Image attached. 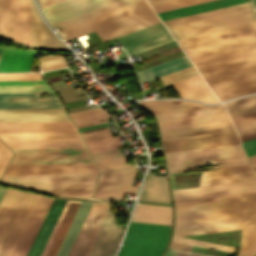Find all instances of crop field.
Listing matches in <instances>:
<instances>
[{
  "label": "crop field",
  "instance_id": "obj_60",
  "mask_svg": "<svg viewBox=\"0 0 256 256\" xmlns=\"http://www.w3.org/2000/svg\"><path fill=\"white\" fill-rule=\"evenodd\" d=\"M46 84L45 80L0 81V85Z\"/></svg>",
  "mask_w": 256,
  "mask_h": 256
},
{
  "label": "crop field",
  "instance_id": "obj_43",
  "mask_svg": "<svg viewBox=\"0 0 256 256\" xmlns=\"http://www.w3.org/2000/svg\"><path fill=\"white\" fill-rule=\"evenodd\" d=\"M227 112L225 107L156 115L158 120Z\"/></svg>",
  "mask_w": 256,
  "mask_h": 256
},
{
  "label": "crop field",
  "instance_id": "obj_32",
  "mask_svg": "<svg viewBox=\"0 0 256 256\" xmlns=\"http://www.w3.org/2000/svg\"><path fill=\"white\" fill-rule=\"evenodd\" d=\"M9 148L85 146L81 138L3 140Z\"/></svg>",
  "mask_w": 256,
  "mask_h": 256
},
{
  "label": "crop field",
  "instance_id": "obj_12",
  "mask_svg": "<svg viewBox=\"0 0 256 256\" xmlns=\"http://www.w3.org/2000/svg\"><path fill=\"white\" fill-rule=\"evenodd\" d=\"M120 1L123 0H63L43 7V10L55 25Z\"/></svg>",
  "mask_w": 256,
  "mask_h": 256
},
{
  "label": "crop field",
  "instance_id": "obj_49",
  "mask_svg": "<svg viewBox=\"0 0 256 256\" xmlns=\"http://www.w3.org/2000/svg\"><path fill=\"white\" fill-rule=\"evenodd\" d=\"M119 137H122V136H119ZM119 143L120 142L118 137H114V138H108V139H103L98 141L87 142L86 145L90 153H93L101 150L118 147L117 144Z\"/></svg>",
  "mask_w": 256,
  "mask_h": 256
},
{
  "label": "crop field",
  "instance_id": "obj_33",
  "mask_svg": "<svg viewBox=\"0 0 256 256\" xmlns=\"http://www.w3.org/2000/svg\"><path fill=\"white\" fill-rule=\"evenodd\" d=\"M139 200L170 203L165 177L148 174L147 181Z\"/></svg>",
  "mask_w": 256,
  "mask_h": 256
},
{
  "label": "crop field",
  "instance_id": "obj_11",
  "mask_svg": "<svg viewBox=\"0 0 256 256\" xmlns=\"http://www.w3.org/2000/svg\"><path fill=\"white\" fill-rule=\"evenodd\" d=\"M152 11L145 0L61 29L65 41Z\"/></svg>",
  "mask_w": 256,
  "mask_h": 256
},
{
  "label": "crop field",
  "instance_id": "obj_37",
  "mask_svg": "<svg viewBox=\"0 0 256 256\" xmlns=\"http://www.w3.org/2000/svg\"><path fill=\"white\" fill-rule=\"evenodd\" d=\"M253 227H256V220L179 228V229H175L174 234L185 236V235L237 230V229H245V228H253Z\"/></svg>",
  "mask_w": 256,
  "mask_h": 256
},
{
  "label": "crop field",
  "instance_id": "obj_39",
  "mask_svg": "<svg viewBox=\"0 0 256 256\" xmlns=\"http://www.w3.org/2000/svg\"><path fill=\"white\" fill-rule=\"evenodd\" d=\"M0 37L15 41L14 0H0Z\"/></svg>",
  "mask_w": 256,
  "mask_h": 256
},
{
  "label": "crop field",
  "instance_id": "obj_23",
  "mask_svg": "<svg viewBox=\"0 0 256 256\" xmlns=\"http://www.w3.org/2000/svg\"><path fill=\"white\" fill-rule=\"evenodd\" d=\"M255 179L249 165L203 171L200 186Z\"/></svg>",
  "mask_w": 256,
  "mask_h": 256
},
{
  "label": "crop field",
  "instance_id": "obj_22",
  "mask_svg": "<svg viewBox=\"0 0 256 256\" xmlns=\"http://www.w3.org/2000/svg\"><path fill=\"white\" fill-rule=\"evenodd\" d=\"M78 132L72 122L0 123V133Z\"/></svg>",
  "mask_w": 256,
  "mask_h": 256
},
{
  "label": "crop field",
  "instance_id": "obj_2",
  "mask_svg": "<svg viewBox=\"0 0 256 256\" xmlns=\"http://www.w3.org/2000/svg\"><path fill=\"white\" fill-rule=\"evenodd\" d=\"M109 201L94 202L68 256H112L122 231Z\"/></svg>",
  "mask_w": 256,
  "mask_h": 256
},
{
  "label": "crop field",
  "instance_id": "obj_8",
  "mask_svg": "<svg viewBox=\"0 0 256 256\" xmlns=\"http://www.w3.org/2000/svg\"><path fill=\"white\" fill-rule=\"evenodd\" d=\"M36 196L6 190L0 202V256H8Z\"/></svg>",
  "mask_w": 256,
  "mask_h": 256
},
{
  "label": "crop field",
  "instance_id": "obj_5",
  "mask_svg": "<svg viewBox=\"0 0 256 256\" xmlns=\"http://www.w3.org/2000/svg\"><path fill=\"white\" fill-rule=\"evenodd\" d=\"M220 101L256 92V56L199 68Z\"/></svg>",
  "mask_w": 256,
  "mask_h": 256
},
{
  "label": "crop field",
  "instance_id": "obj_42",
  "mask_svg": "<svg viewBox=\"0 0 256 256\" xmlns=\"http://www.w3.org/2000/svg\"><path fill=\"white\" fill-rule=\"evenodd\" d=\"M69 115L75 125L110 118L104 111L99 108L70 113Z\"/></svg>",
  "mask_w": 256,
  "mask_h": 256
},
{
  "label": "crop field",
  "instance_id": "obj_47",
  "mask_svg": "<svg viewBox=\"0 0 256 256\" xmlns=\"http://www.w3.org/2000/svg\"><path fill=\"white\" fill-rule=\"evenodd\" d=\"M129 160L128 156L119 157L114 159H108L103 161L95 162L99 171L103 172L106 170L130 167L132 164L126 165V161Z\"/></svg>",
  "mask_w": 256,
  "mask_h": 256
},
{
  "label": "crop field",
  "instance_id": "obj_66",
  "mask_svg": "<svg viewBox=\"0 0 256 256\" xmlns=\"http://www.w3.org/2000/svg\"><path fill=\"white\" fill-rule=\"evenodd\" d=\"M244 147H250V146H254L256 145V138L255 139H251V140H247V141H243L242 142Z\"/></svg>",
  "mask_w": 256,
  "mask_h": 256
},
{
  "label": "crop field",
  "instance_id": "obj_55",
  "mask_svg": "<svg viewBox=\"0 0 256 256\" xmlns=\"http://www.w3.org/2000/svg\"><path fill=\"white\" fill-rule=\"evenodd\" d=\"M40 75L42 74H37V73L0 74V80L42 79Z\"/></svg>",
  "mask_w": 256,
  "mask_h": 256
},
{
  "label": "crop field",
  "instance_id": "obj_63",
  "mask_svg": "<svg viewBox=\"0 0 256 256\" xmlns=\"http://www.w3.org/2000/svg\"><path fill=\"white\" fill-rule=\"evenodd\" d=\"M252 111H256V105L238 109V110H234V111H230L229 113H230V116L232 117V116H236V115H240V114H244V113H248V112H252Z\"/></svg>",
  "mask_w": 256,
  "mask_h": 256
},
{
  "label": "crop field",
  "instance_id": "obj_36",
  "mask_svg": "<svg viewBox=\"0 0 256 256\" xmlns=\"http://www.w3.org/2000/svg\"><path fill=\"white\" fill-rule=\"evenodd\" d=\"M93 202L82 201L56 256H67Z\"/></svg>",
  "mask_w": 256,
  "mask_h": 256
},
{
  "label": "crop field",
  "instance_id": "obj_6",
  "mask_svg": "<svg viewBox=\"0 0 256 256\" xmlns=\"http://www.w3.org/2000/svg\"><path fill=\"white\" fill-rule=\"evenodd\" d=\"M170 173L249 164L240 144L166 153ZM223 163L207 168L196 166Z\"/></svg>",
  "mask_w": 256,
  "mask_h": 256
},
{
  "label": "crop field",
  "instance_id": "obj_30",
  "mask_svg": "<svg viewBox=\"0 0 256 256\" xmlns=\"http://www.w3.org/2000/svg\"><path fill=\"white\" fill-rule=\"evenodd\" d=\"M140 103L151 109L154 114L224 106H207L182 100H147Z\"/></svg>",
  "mask_w": 256,
  "mask_h": 256
},
{
  "label": "crop field",
  "instance_id": "obj_56",
  "mask_svg": "<svg viewBox=\"0 0 256 256\" xmlns=\"http://www.w3.org/2000/svg\"><path fill=\"white\" fill-rule=\"evenodd\" d=\"M234 126H240L256 121V112L231 118Z\"/></svg>",
  "mask_w": 256,
  "mask_h": 256
},
{
  "label": "crop field",
  "instance_id": "obj_50",
  "mask_svg": "<svg viewBox=\"0 0 256 256\" xmlns=\"http://www.w3.org/2000/svg\"><path fill=\"white\" fill-rule=\"evenodd\" d=\"M43 71L68 66L62 56H43L39 59Z\"/></svg>",
  "mask_w": 256,
  "mask_h": 256
},
{
  "label": "crop field",
  "instance_id": "obj_18",
  "mask_svg": "<svg viewBox=\"0 0 256 256\" xmlns=\"http://www.w3.org/2000/svg\"><path fill=\"white\" fill-rule=\"evenodd\" d=\"M165 152L240 143L236 134H222L163 141Z\"/></svg>",
  "mask_w": 256,
  "mask_h": 256
},
{
  "label": "crop field",
  "instance_id": "obj_31",
  "mask_svg": "<svg viewBox=\"0 0 256 256\" xmlns=\"http://www.w3.org/2000/svg\"><path fill=\"white\" fill-rule=\"evenodd\" d=\"M188 66H191V63L188 61L185 55H183L172 60L137 71L136 73L140 79V82L142 83Z\"/></svg>",
  "mask_w": 256,
  "mask_h": 256
},
{
  "label": "crop field",
  "instance_id": "obj_4",
  "mask_svg": "<svg viewBox=\"0 0 256 256\" xmlns=\"http://www.w3.org/2000/svg\"><path fill=\"white\" fill-rule=\"evenodd\" d=\"M52 200L37 196L9 256H26ZM66 201L53 200L27 256H40Z\"/></svg>",
  "mask_w": 256,
  "mask_h": 256
},
{
  "label": "crop field",
  "instance_id": "obj_27",
  "mask_svg": "<svg viewBox=\"0 0 256 256\" xmlns=\"http://www.w3.org/2000/svg\"><path fill=\"white\" fill-rule=\"evenodd\" d=\"M156 22H159V19L157 18L154 11H152L144 15L96 31V33L103 41H105L113 37L131 32L133 30L151 25Z\"/></svg>",
  "mask_w": 256,
  "mask_h": 256
},
{
  "label": "crop field",
  "instance_id": "obj_19",
  "mask_svg": "<svg viewBox=\"0 0 256 256\" xmlns=\"http://www.w3.org/2000/svg\"><path fill=\"white\" fill-rule=\"evenodd\" d=\"M98 172L94 163L9 165L5 174Z\"/></svg>",
  "mask_w": 256,
  "mask_h": 256
},
{
  "label": "crop field",
  "instance_id": "obj_53",
  "mask_svg": "<svg viewBox=\"0 0 256 256\" xmlns=\"http://www.w3.org/2000/svg\"><path fill=\"white\" fill-rule=\"evenodd\" d=\"M53 91L49 85L0 86V92Z\"/></svg>",
  "mask_w": 256,
  "mask_h": 256
},
{
  "label": "crop field",
  "instance_id": "obj_26",
  "mask_svg": "<svg viewBox=\"0 0 256 256\" xmlns=\"http://www.w3.org/2000/svg\"><path fill=\"white\" fill-rule=\"evenodd\" d=\"M96 183L80 184H47V185H14L22 188H32L54 195L91 198Z\"/></svg>",
  "mask_w": 256,
  "mask_h": 256
},
{
  "label": "crop field",
  "instance_id": "obj_13",
  "mask_svg": "<svg viewBox=\"0 0 256 256\" xmlns=\"http://www.w3.org/2000/svg\"><path fill=\"white\" fill-rule=\"evenodd\" d=\"M128 55L141 52L162 43L173 40L161 22L117 37Z\"/></svg>",
  "mask_w": 256,
  "mask_h": 256
},
{
  "label": "crop field",
  "instance_id": "obj_65",
  "mask_svg": "<svg viewBox=\"0 0 256 256\" xmlns=\"http://www.w3.org/2000/svg\"><path fill=\"white\" fill-rule=\"evenodd\" d=\"M239 137H240L241 141L251 139V138H255L256 137V132L240 135Z\"/></svg>",
  "mask_w": 256,
  "mask_h": 256
},
{
  "label": "crop field",
  "instance_id": "obj_52",
  "mask_svg": "<svg viewBox=\"0 0 256 256\" xmlns=\"http://www.w3.org/2000/svg\"><path fill=\"white\" fill-rule=\"evenodd\" d=\"M139 185L97 192L93 198H121L124 192L136 194Z\"/></svg>",
  "mask_w": 256,
  "mask_h": 256
},
{
  "label": "crop field",
  "instance_id": "obj_75",
  "mask_svg": "<svg viewBox=\"0 0 256 256\" xmlns=\"http://www.w3.org/2000/svg\"><path fill=\"white\" fill-rule=\"evenodd\" d=\"M254 6L256 7V4H254Z\"/></svg>",
  "mask_w": 256,
  "mask_h": 256
},
{
  "label": "crop field",
  "instance_id": "obj_62",
  "mask_svg": "<svg viewBox=\"0 0 256 256\" xmlns=\"http://www.w3.org/2000/svg\"><path fill=\"white\" fill-rule=\"evenodd\" d=\"M236 131H237L238 135L256 131V122L252 123V124L236 127Z\"/></svg>",
  "mask_w": 256,
  "mask_h": 256
},
{
  "label": "crop field",
  "instance_id": "obj_57",
  "mask_svg": "<svg viewBox=\"0 0 256 256\" xmlns=\"http://www.w3.org/2000/svg\"><path fill=\"white\" fill-rule=\"evenodd\" d=\"M11 155V151L0 141V175L4 170L7 162L9 161Z\"/></svg>",
  "mask_w": 256,
  "mask_h": 256
},
{
  "label": "crop field",
  "instance_id": "obj_9",
  "mask_svg": "<svg viewBox=\"0 0 256 256\" xmlns=\"http://www.w3.org/2000/svg\"><path fill=\"white\" fill-rule=\"evenodd\" d=\"M169 233L166 225L131 222L118 256H160Z\"/></svg>",
  "mask_w": 256,
  "mask_h": 256
},
{
  "label": "crop field",
  "instance_id": "obj_70",
  "mask_svg": "<svg viewBox=\"0 0 256 256\" xmlns=\"http://www.w3.org/2000/svg\"><path fill=\"white\" fill-rule=\"evenodd\" d=\"M248 159H249L253 169L255 170L256 169V156L249 157Z\"/></svg>",
  "mask_w": 256,
  "mask_h": 256
},
{
  "label": "crop field",
  "instance_id": "obj_38",
  "mask_svg": "<svg viewBox=\"0 0 256 256\" xmlns=\"http://www.w3.org/2000/svg\"><path fill=\"white\" fill-rule=\"evenodd\" d=\"M227 121H230V118L227 113H223V114H215V115L163 120L159 122H160V128L165 129V128L200 125V124L227 122Z\"/></svg>",
  "mask_w": 256,
  "mask_h": 256
},
{
  "label": "crop field",
  "instance_id": "obj_3",
  "mask_svg": "<svg viewBox=\"0 0 256 256\" xmlns=\"http://www.w3.org/2000/svg\"><path fill=\"white\" fill-rule=\"evenodd\" d=\"M165 21V20H164ZM256 21L252 1L165 21L176 40Z\"/></svg>",
  "mask_w": 256,
  "mask_h": 256
},
{
  "label": "crop field",
  "instance_id": "obj_14",
  "mask_svg": "<svg viewBox=\"0 0 256 256\" xmlns=\"http://www.w3.org/2000/svg\"><path fill=\"white\" fill-rule=\"evenodd\" d=\"M99 173L3 175L4 184L96 182Z\"/></svg>",
  "mask_w": 256,
  "mask_h": 256
},
{
  "label": "crop field",
  "instance_id": "obj_24",
  "mask_svg": "<svg viewBox=\"0 0 256 256\" xmlns=\"http://www.w3.org/2000/svg\"><path fill=\"white\" fill-rule=\"evenodd\" d=\"M163 140L235 132L231 122L161 130Z\"/></svg>",
  "mask_w": 256,
  "mask_h": 256
},
{
  "label": "crop field",
  "instance_id": "obj_1",
  "mask_svg": "<svg viewBox=\"0 0 256 256\" xmlns=\"http://www.w3.org/2000/svg\"><path fill=\"white\" fill-rule=\"evenodd\" d=\"M236 197L245 217H256V194ZM236 197L230 194L175 201V228L245 220Z\"/></svg>",
  "mask_w": 256,
  "mask_h": 256
},
{
  "label": "crop field",
  "instance_id": "obj_61",
  "mask_svg": "<svg viewBox=\"0 0 256 256\" xmlns=\"http://www.w3.org/2000/svg\"><path fill=\"white\" fill-rule=\"evenodd\" d=\"M166 256H208V255L197 254V253L169 248Z\"/></svg>",
  "mask_w": 256,
  "mask_h": 256
},
{
  "label": "crop field",
  "instance_id": "obj_76",
  "mask_svg": "<svg viewBox=\"0 0 256 256\" xmlns=\"http://www.w3.org/2000/svg\"><path fill=\"white\" fill-rule=\"evenodd\" d=\"M254 172H255V174H256V170H255Z\"/></svg>",
  "mask_w": 256,
  "mask_h": 256
},
{
  "label": "crop field",
  "instance_id": "obj_10",
  "mask_svg": "<svg viewBox=\"0 0 256 256\" xmlns=\"http://www.w3.org/2000/svg\"><path fill=\"white\" fill-rule=\"evenodd\" d=\"M10 164L93 162L86 147L11 149Z\"/></svg>",
  "mask_w": 256,
  "mask_h": 256
},
{
  "label": "crop field",
  "instance_id": "obj_58",
  "mask_svg": "<svg viewBox=\"0 0 256 256\" xmlns=\"http://www.w3.org/2000/svg\"><path fill=\"white\" fill-rule=\"evenodd\" d=\"M91 155H92L94 161H97V160H102V159L122 156L123 154L116 148V149H112V150H107V151H102V152H98V153H93Z\"/></svg>",
  "mask_w": 256,
  "mask_h": 256
},
{
  "label": "crop field",
  "instance_id": "obj_72",
  "mask_svg": "<svg viewBox=\"0 0 256 256\" xmlns=\"http://www.w3.org/2000/svg\"><path fill=\"white\" fill-rule=\"evenodd\" d=\"M4 188H2V187H0V198H1V196H2V194H3V192H4Z\"/></svg>",
  "mask_w": 256,
  "mask_h": 256
},
{
  "label": "crop field",
  "instance_id": "obj_16",
  "mask_svg": "<svg viewBox=\"0 0 256 256\" xmlns=\"http://www.w3.org/2000/svg\"><path fill=\"white\" fill-rule=\"evenodd\" d=\"M256 191V180L173 190L175 200Z\"/></svg>",
  "mask_w": 256,
  "mask_h": 256
},
{
  "label": "crop field",
  "instance_id": "obj_69",
  "mask_svg": "<svg viewBox=\"0 0 256 256\" xmlns=\"http://www.w3.org/2000/svg\"><path fill=\"white\" fill-rule=\"evenodd\" d=\"M108 121H103V122H92V123H88V124H83V125H78L77 128H80V127H85V126H90V125H96V124H101V123H106Z\"/></svg>",
  "mask_w": 256,
  "mask_h": 256
},
{
  "label": "crop field",
  "instance_id": "obj_54",
  "mask_svg": "<svg viewBox=\"0 0 256 256\" xmlns=\"http://www.w3.org/2000/svg\"><path fill=\"white\" fill-rule=\"evenodd\" d=\"M228 110H234L256 104V94L225 103Z\"/></svg>",
  "mask_w": 256,
  "mask_h": 256
},
{
  "label": "crop field",
  "instance_id": "obj_41",
  "mask_svg": "<svg viewBox=\"0 0 256 256\" xmlns=\"http://www.w3.org/2000/svg\"><path fill=\"white\" fill-rule=\"evenodd\" d=\"M256 254V228L241 230L240 252L238 256Z\"/></svg>",
  "mask_w": 256,
  "mask_h": 256
},
{
  "label": "crop field",
  "instance_id": "obj_28",
  "mask_svg": "<svg viewBox=\"0 0 256 256\" xmlns=\"http://www.w3.org/2000/svg\"><path fill=\"white\" fill-rule=\"evenodd\" d=\"M256 55V44L192 58L196 68Z\"/></svg>",
  "mask_w": 256,
  "mask_h": 256
},
{
  "label": "crop field",
  "instance_id": "obj_74",
  "mask_svg": "<svg viewBox=\"0 0 256 256\" xmlns=\"http://www.w3.org/2000/svg\"><path fill=\"white\" fill-rule=\"evenodd\" d=\"M254 3H256V0H254Z\"/></svg>",
  "mask_w": 256,
  "mask_h": 256
},
{
  "label": "crop field",
  "instance_id": "obj_35",
  "mask_svg": "<svg viewBox=\"0 0 256 256\" xmlns=\"http://www.w3.org/2000/svg\"><path fill=\"white\" fill-rule=\"evenodd\" d=\"M138 167L101 174L96 191L108 190L132 184Z\"/></svg>",
  "mask_w": 256,
  "mask_h": 256
},
{
  "label": "crop field",
  "instance_id": "obj_45",
  "mask_svg": "<svg viewBox=\"0 0 256 256\" xmlns=\"http://www.w3.org/2000/svg\"><path fill=\"white\" fill-rule=\"evenodd\" d=\"M80 137L79 133L0 134L1 139Z\"/></svg>",
  "mask_w": 256,
  "mask_h": 256
},
{
  "label": "crop field",
  "instance_id": "obj_71",
  "mask_svg": "<svg viewBox=\"0 0 256 256\" xmlns=\"http://www.w3.org/2000/svg\"><path fill=\"white\" fill-rule=\"evenodd\" d=\"M166 1H170V0H154V1H150L149 4L153 5V4H157V3H161V2H166Z\"/></svg>",
  "mask_w": 256,
  "mask_h": 256
},
{
  "label": "crop field",
  "instance_id": "obj_20",
  "mask_svg": "<svg viewBox=\"0 0 256 256\" xmlns=\"http://www.w3.org/2000/svg\"><path fill=\"white\" fill-rule=\"evenodd\" d=\"M31 47L45 50H68L45 26L30 0Z\"/></svg>",
  "mask_w": 256,
  "mask_h": 256
},
{
  "label": "crop field",
  "instance_id": "obj_59",
  "mask_svg": "<svg viewBox=\"0 0 256 256\" xmlns=\"http://www.w3.org/2000/svg\"><path fill=\"white\" fill-rule=\"evenodd\" d=\"M111 136H113V135H112L110 129L82 135L85 142L97 140V139H101V138H106V137H111Z\"/></svg>",
  "mask_w": 256,
  "mask_h": 256
},
{
  "label": "crop field",
  "instance_id": "obj_64",
  "mask_svg": "<svg viewBox=\"0 0 256 256\" xmlns=\"http://www.w3.org/2000/svg\"><path fill=\"white\" fill-rule=\"evenodd\" d=\"M172 248H177V249H183V250H188L190 251L192 246L191 245H185V244H180V243H174L172 242L171 246Z\"/></svg>",
  "mask_w": 256,
  "mask_h": 256
},
{
  "label": "crop field",
  "instance_id": "obj_40",
  "mask_svg": "<svg viewBox=\"0 0 256 256\" xmlns=\"http://www.w3.org/2000/svg\"><path fill=\"white\" fill-rule=\"evenodd\" d=\"M250 1V0H247ZM241 2H246L244 0H216V1H211L203 4H198L194 6H189L181 9H176L172 11H167L163 13H159L158 16L161 18V20L168 19V18H173L177 16H182L186 14H191L195 12H200L204 10H209V9H214L218 7H223L227 5H232L236 3H241Z\"/></svg>",
  "mask_w": 256,
  "mask_h": 256
},
{
  "label": "crop field",
  "instance_id": "obj_73",
  "mask_svg": "<svg viewBox=\"0 0 256 256\" xmlns=\"http://www.w3.org/2000/svg\"><path fill=\"white\" fill-rule=\"evenodd\" d=\"M2 48H3V47H0V54H1Z\"/></svg>",
  "mask_w": 256,
  "mask_h": 256
},
{
  "label": "crop field",
  "instance_id": "obj_34",
  "mask_svg": "<svg viewBox=\"0 0 256 256\" xmlns=\"http://www.w3.org/2000/svg\"><path fill=\"white\" fill-rule=\"evenodd\" d=\"M16 41L30 47L29 0H15Z\"/></svg>",
  "mask_w": 256,
  "mask_h": 256
},
{
  "label": "crop field",
  "instance_id": "obj_67",
  "mask_svg": "<svg viewBox=\"0 0 256 256\" xmlns=\"http://www.w3.org/2000/svg\"><path fill=\"white\" fill-rule=\"evenodd\" d=\"M246 153H247V156H253V155H256V146L254 147H250V148H246Z\"/></svg>",
  "mask_w": 256,
  "mask_h": 256
},
{
  "label": "crop field",
  "instance_id": "obj_48",
  "mask_svg": "<svg viewBox=\"0 0 256 256\" xmlns=\"http://www.w3.org/2000/svg\"><path fill=\"white\" fill-rule=\"evenodd\" d=\"M174 242H180V243H186V244H192V245H198V246H204V247H210V248H215L227 252L233 253L235 248L233 247H228L224 245H219V244H214V243H209V242H204L200 240H195V239H190V238H185V237H179L173 235V240Z\"/></svg>",
  "mask_w": 256,
  "mask_h": 256
},
{
  "label": "crop field",
  "instance_id": "obj_7",
  "mask_svg": "<svg viewBox=\"0 0 256 256\" xmlns=\"http://www.w3.org/2000/svg\"><path fill=\"white\" fill-rule=\"evenodd\" d=\"M189 58L256 43V22L179 40Z\"/></svg>",
  "mask_w": 256,
  "mask_h": 256
},
{
  "label": "crop field",
  "instance_id": "obj_21",
  "mask_svg": "<svg viewBox=\"0 0 256 256\" xmlns=\"http://www.w3.org/2000/svg\"><path fill=\"white\" fill-rule=\"evenodd\" d=\"M181 98L195 99L208 103H218V99L199 74L172 83Z\"/></svg>",
  "mask_w": 256,
  "mask_h": 256
},
{
  "label": "crop field",
  "instance_id": "obj_15",
  "mask_svg": "<svg viewBox=\"0 0 256 256\" xmlns=\"http://www.w3.org/2000/svg\"><path fill=\"white\" fill-rule=\"evenodd\" d=\"M43 93L49 92L0 93V109L62 108L57 96L40 98Z\"/></svg>",
  "mask_w": 256,
  "mask_h": 256
},
{
  "label": "crop field",
  "instance_id": "obj_68",
  "mask_svg": "<svg viewBox=\"0 0 256 256\" xmlns=\"http://www.w3.org/2000/svg\"><path fill=\"white\" fill-rule=\"evenodd\" d=\"M40 1V4L41 6H46V5H49L51 3H54V2H57V1H60V0H39Z\"/></svg>",
  "mask_w": 256,
  "mask_h": 256
},
{
  "label": "crop field",
  "instance_id": "obj_17",
  "mask_svg": "<svg viewBox=\"0 0 256 256\" xmlns=\"http://www.w3.org/2000/svg\"><path fill=\"white\" fill-rule=\"evenodd\" d=\"M70 121L64 109L0 110V122Z\"/></svg>",
  "mask_w": 256,
  "mask_h": 256
},
{
  "label": "crop field",
  "instance_id": "obj_44",
  "mask_svg": "<svg viewBox=\"0 0 256 256\" xmlns=\"http://www.w3.org/2000/svg\"><path fill=\"white\" fill-rule=\"evenodd\" d=\"M137 1H140V0H126V1L120 2V3H118V4H115V5L106 7V8H104V9H101V10H98V11H95V12H92V13H90V14H87V15H84V16H81V17H78V18H76V19H73V20L64 22V23L59 24V25H56V26L60 29V28H63V27L72 25V24H74V23H77V22H80V21H83V20L92 18V17H94V16H97V15H100V14H103V13H106V12H109V11H112V10H114V9H117V8H120V7L129 5V4H132V3L137 2Z\"/></svg>",
  "mask_w": 256,
  "mask_h": 256
},
{
  "label": "crop field",
  "instance_id": "obj_51",
  "mask_svg": "<svg viewBox=\"0 0 256 256\" xmlns=\"http://www.w3.org/2000/svg\"><path fill=\"white\" fill-rule=\"evenodd\" d=\"M197 74V71L194 69L193 66L182 69L180 71L159 77V80L164 84H169L175 82L177 80L189 77L191 75Z\"/></svg>",
  "mask_w": 256,
  "mask_h": 256
},
{
  "label": "crop field",
  "instance_id": "obj_46",
  "mask_svg": "<svg viewBox=\"0 0 256 256\" xmlns=\"http://www.w3.org/2000/svg\"><path fill=\"white\" fill-rule=\"evenodd\" d=\"M207 1H211V0H175V1L153 5L152 8L155 10L156 13H159V12L181 8V7L194 5L202 2H207Z\"/></svg>",
  "mask_w": 256,
  "mask_h": 256
},
{
  "label": "crop field",
  "instance_id": "obj_29",
  "mask_svg": "<svg viewBox=\"0 0 256 256\" xmlns=\"http://www.w3.org/2000/svg\"><path fill=\"white\" fill-rule=\"evenodd\" d=\"M131 221L171 224V207L138 204Z\"/></svg>",
  "mask_w": 256,
  "mask_h": 256
},
{
  "label": "crop field",
  "instance_id": "obj_77",
  "mask_svg": "<svg viewBox=\"0 0 256 256\" xmlns=\"http://www.w3.org/2000/svg\"><path fill=\"white\" fill-rule=\"evenodd\" d=\"M147 1H150V0H147Z\"/></svg>",
  "mask_w": 256,
  "mask_h": 256
},
{
  "label": "crop field",
  "instance_id": "obj_25",
  "mask_svg": "<svg viewBox=\"0 0 256 256\" xmlns=\"http://www.w3.org/2000/svg\"><path fill=\"white\" fill-rule=\"evenodd\" d=\"M35 52L4 47L0 57V72L29 71Z\"/></svg>",
  "mask_w": 256,
  "mask_h": 256
}]
</instances>
